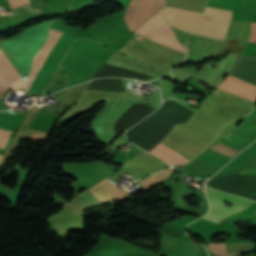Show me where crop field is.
<instances>
[{
	"instance_id": "obj_1",
	"label": "crop field",
	"mask_w": 256,
	"mask_h": 256,
	"mask_svg": "<svg viewBox=\"0 0 256 256\" xmlns=\"http://www.w3.org/2000/svg\"><path fill=\"white\" fill-rule=\"evenodd\" d=\"M164 13L170 25L179 30L224 40L232 11L207 7L201 14L164 7Z\"/></svg>"
},
{
	"instance_id": "obj_2",
	"label": "crop field",
	"mask_w": 256,
	"mask_h": 256,
	"mask_svg": "<svg viewBox=\"0 0 256 256\" xmlns=\"http://www.w3.org/2000/svg\"><path fill=\"white\" fill-rule=\"evenodd\" d=\"M205 190L208 195L211 210L208 215L203 217V219L210 220L216 223H219L224 218L249 207L253 203L247 199L224 194L211 188L206 187ZM224 200L231 202L233 206L231 208L225 207L222 203L224 202Z\"/></svg>"
},
{
	"instance_id": "obj_3",
	"label": "crop field",
	"mask_w": 256,
	"mask_h": 256,
	"mask_svg": "<svg viewBox=\"0 0 256 256\" xmlns=\"http://www.w3.org/2000/svg\"><path fill=\"white\" fill-rule=\"evenodd\" d=\"M134 32L186 53V50L177 42L174 32L166 22L162 9Z\"/></svg>"
},
{
	"instance_id": "obj_4",
	"label": "crop field",
	"mask_w": 256,
	"mask_h": 256,
	"mask_svg": "<svg viewBox=\"0 0 256 256\" xmlns=\"http://www.w3.org/2000/svg\"><path fill=\"white\" fill-rule=\"evenodd\" d=\"M85 191H87L100 201L120 198L127 194V192L117 188L106 178ZM85 191L72 199L67 205L78 211H81L82 207H85L91 203L99 202L97 199H95Z\"/></svg>"
},
{
	"instance_id": "obj_5",
	"label": "crop field",
	"mask_w": 256,
	"mask_h": 256,
	"mask_svg": "<svg viewBox=\"0 0 256 256\" xmlns=\"http://www.w3.org/2000/svg\"><path fill=\"white\" fill-rule=\"evenodd\" d=\"M24 83L0 49V96L7 87L13 90H21Z\"/></svg>"
},
{
	"instance_id": "obj_6",
	"label": "crop field",
	"mask_w": 256,
	"mask_h": 256,
	"mask_svg": "<svg viewBox=\"0 0 256 256\" xmlns=\"http://www.w3.org/2000/svg\"><path fill=\"white\" fill-rule=\"evenodd\" d=\"M60 32L51 30L49 34V39L47 43L42 47L41 51L36 55L33 61V69L25 83L24 91L27 92L29 86L31 85L33 79L35 78L37 72L39 71L41 65L43 64L44 60L46 59L48 53L50 52L52 46L54 45L56 39L58 38Z\"/></svg>"
},
{
	"instance_id": "obj_7",
	"label": "crop field",
	"mask_w": 256,
	"mask_h": 256,
	"mask_svg": "<svg viewBox=\"0 0 256 256\" xmlns=\"http://www.w3.org/2000/svg\"><path fill=\"white\" fill-rule=\"evenodd\" d=\"M150 152L160 156L161 158H163L165 161H167L172 166L177 163H184V162L188 161L187 159L183 158L175 151L171 150L170 148H168L160 143Z\"/></svg>"
},
{
	"instance_id": "obj_8",
	"label": "crop field",
	"mask_w": 256,
	"mask_h": 256,
	"mask_svg": "<svg viewBox=\"0 0 256 256\" xmlns=\"http://www.w3.org/2000/svg\"><path fill=\"white\" fill-rule=\"evenodd\" d=\"M216 170L196 159L181 172L197 176H210Z\"/></svg>"
},
{
	"instance_id": "obj_9",
	"label": "crop field",
	"mask_w": 256,
	"mask_h": 256,
	"mask_svg": "<svg viewBox=\"0 0 256 256\" xmlns=\"http://www.w3.org/2000/svg\"><path fill=\"white\" fill-rule=\"evenodd\" d=\"M174 170L167 169L160 171L158 173H155L153 176L149 177L148 179L144 180L142 183H140L143 187L146 189L157 182L163 180L164 178L168 177Z\"/></svg>"
},
{
	"instance_id": "obj_10",
	"label": "crop field",
	"mask_w": 256,
	"mask_h": 256,
	"mask_svg": "<svg viewBox=\"0 0 256 256\" xmlns=\"http://www.w3.org/2000/svg\"><path fill=\"white\" fill-rule=\"evenodd\" d=\"M151 232H155L161 235H167V236H173L179 238L182 236L184 233L179 230L176 227L170 226L165 224L163 227L159 228L158 230H152Z\"/></svg>"
},
{
	"instance_id": "obj_11",
	"label": "crop field",
	"mask_w": 256,
	"mask_h": 256,
	"mask_svg": "<svg viewBox=\"0 0 256 256\" xmlns=\"http://www.w3.org/2000/svg\"><path fill=\"white\" fill-rule=\"evenodd\" d=\"M228 253L253 251L252 243L227 244Z\"/></svg>"
},
{
	"instance_id": "obj_12",
	"label": "crop field",
	"mask_w": 256,
	"mask_h": 256,
	"mask_svg": "<svg viewBox=\"0 0 256 256\" xmlns=\"http://www.w3.org/2000/svg\"><path fill=\"white\" fill-rule=\"evenodd\" d=\"M208 249L216 254L221 256H240L241 254H226L225 243L222 244H213L211 243ZM214 254V255H216ZM218 256V255H217Z\"/></svg>"
},
{
	"instance_id": "obj_13",
	"label": "crop field",
	"mask_w": 256,
	"mask_h": 256,
	"mask_svg": "<svg viewBox=\"0 0 256 256\" xmlns=\"http://www.w3.org/2000/svg\"><path fill=\"white\" fill-rule=\"evenodd\" d=\"M10 132H11V129L0 127V151L2 150Z\"/></svg>"
},
{
	"instance_id": "obj_14",
	"label": "crop field",
	"mask_w": 256,
	"mask_h": 256,
	"mask_svg": "<svg viewBox=\"0 0 256 256\" xmlns=\"http://www.w3.org/2000/svg\"><path fill=\"white\" fill-rule=\"evenodd\" d=\"M249 42L256 43V24L252 23V30Z\"/></svg>"
},
{
	"instance_id": "obj_15",
	"label": "crop field",
	"mask_w": 256,
	"mask_h": 256,
	"mask_svg": "<svg viewBox=\"0 0 256 256\" xmlns=\"http://www.w3.org/2000/svg\"><path fill=\"white\" fill-rule=\"evenodd\" d=\"M225 90V89H224Z\"/></svg>"
}]
</instances>
